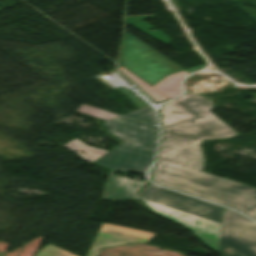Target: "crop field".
Segmentation results:
<instances>
[{"label":"crop field","instance_id":"crop-field-3","mask_svg":"<svg viewBox=\"0 0 256 256\" xmlns=\"http://www.w3.org/2000/svg\"><path fill=\"white\" fill-rule=\"evenodd\" d=\"M139 193L150 210L187 227L203 244L218 253L221 206L152 183Z\"/></svg>","mask_w":256,"mask_h":256},{"label":"crop field","instance_id":"crop-field-7","mask_svg":"<svg viewBox=\"0 0 256 256\" xmlns=\"http://www.w3.org/2000/svg\"><path fill=\"white\" fill-rule=\"evenodd\" d=\"M111 173H109L101 200L139 199L137 191L142 188V182L113 177Z\"/></svg>","mask_w":256,"mask_h":256},{"label":"crop field","instance_id":"crop-field-4","mask_svg":"<svg viewBox=\"0 0 256 256\" xmlns=\"http://www.w3.org/2000/svg\"><path fill=\"white\" fill-rule=\"evenodd\" d=\"M120 65L151 86L171 73L182 71L128 33L125 35Z\"/></svg>","mask_w":256,"mask_h":256},{"label":"crop field","instance_id":"crop-field-11","mask_svg":"<svg viewBox=\"0 0 256 256\" xmlns=\"http://www.w3.org/2000/svg\"><path fill=\"white\" fill-rule=\"evenodd\" d=\"M149 181H145V182H143V186L145 185V184H147Z\"/></svg>","mask_w":256,"mask_h":256},{"label":"crop field","instance_id":"crop-field-2","mask_svg":"<svg viewBox=\"0 0 256 256\" xmlns=\"http://www.w3.org/2000/svg\"><path fill=\"white\" fill-rule=\"evenodd\" d=\"M76 111L105 120L102 126L107 127L106 132L124 141L92 164L122 173L131 170L148 174L159 136L154 126L157 123L154 105L122 116L86 105Z\"/></svg>","mask_w":256,"mask_h":256},{"label":"crop field","instance_id":"crop-field-10","mask_svg":"<svg viewBox=\"0 0 256 256\" xmlns=\"http://www.w3.org/2000/svg\"><path fill=\"white\" fill-rule=\"evenodd\" d=\"M35 256H77L68 251L55 247L53 245H48L42 248Z\"/></svg>","mask_w":256,"mask_h":256},{"label":"crop field","instance_id":"crop-field-6","mask_svg":"<svg viewBox=\"0 0 256 256\" xmlns=\"http://www.w3.org/2000/svg\"><path fill=\"white\" fill-rule=\"evenodd\" d=\"M154 235L150 232L103 223L87 256H97L103 247L148 242Z\"/></svg>","mask_w":256,"mask_h":256},{"label":"crop field","instance_id":"crop-field-1","mask_svg":"<svg viewBox=\"0 0 256 256\" xmlns=\"http://www.w3.org/2000/svg\"><path fill=\"white\" fill-rule=\"evenodd\" d=\"M164 135L153 182L210 200L256 220V188L202 172L204 139L239 135L211 113V99L185 91L163 105Z\"/></svg>","mask_w":256,"mask_h":256},{"label":"crop field","instance_id":"crop-field-8","mask_svg":"<svg viewBox=\"0 0 256 256\" xmlns=\"http://www.w3.org/2000/svg\"><path fill=\"white\" fill-rule=\"evenodd\" d=\"M204 66L205 65H200L183 72L171 74L152 87H154L155 89L159 90L160 92H162L163 94L167 95L172 99L182 94L181 81L186 75H188V72Z\"/></svg>","mask_w":256,"mask_h":256},{"label":"crop field","instance_id":"crop-field-9","mask_svg":"<svg viewBox=\"0 0 256 256\" xmlns=\"http://www.w3.org/2000/svg\"><path fill=\"white\" fill-rule=\"evenodd\" d=\"M63 146H65L66 148H68L71 151H76L77 155H79L80 157H82L83 159L88 161L89 163L93 162L94 160L98 159L99 157H101L102 155H104L108 152L103 149L90 147L78 139L72 140ZM78 149H81V150L85 151L86 153L82 154L78 151Z\"/></svg>","mask_w":256,"mask_h":256},{"label":"crop field","instance_id":"crop-field-5","mask_svg":"<svg viewBox=\"0 0 256 256\" xmlns=\"http://www.w3.org/2000/svg\"><path fill=\"white\" fill-rule=\"evenodd\" d=\"M219 254L256 256V223L223 207Z\"/></svg>","mask_w":256,"mask_h":256}]
</instances>
